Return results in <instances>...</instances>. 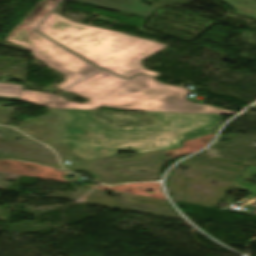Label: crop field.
<instances>
[{"instance_id": "obj_3", "label": "crop field", "mask_w": 256, "mask_h": 256, "mask_svg": "<svg viewBox=\"0 0 256 256\" xmlns=\"http://www.w3.org/2000/svg\"><path fill=\"white\" fill-rule=\"evenodd\" d=\"M234 187L249 190L250 194L256 195V167L249 165Z\"/></svg>"}, {"instance_id": "obj_4", "label": "crop field", "mask_w": 256, "mask_h": 256, "mask_svg": "<svg viewBox=\"0 0 256 256\" xmlns=\"http://www.w3.org/2000/svg\"><path fill=\"white\" fill-rule=\"evenodd\" d=\"M23 85L0 83V96L19 98Z\"/></svg>"}, {"instance_id": "obj_1", "label": "crop field", "mask_w": 256, "mask_h": 256, "mask_svg": "<svg viewBox=\"0 0 256 256\" xmlns=\"http://www.w3.org/2000/svg\"><path fill=\"white\" fill-rule=\"evenodd\" d=\"M58 4L42 0L6 41L31 50L33 56L65 74L66 81L56 87L74 92L90 101L80 104L66 101L65 98L55 94L26 89H23L20 101L32 102L50 109L96 110L101 106H107L150 112L236 113L190 103L185 95L191 91L179 86L162 84L155 81L154 77L138 75L128 81L122 79L92 66L36 32L34 29L48 35L85 59L127 78L139 72L161 76L145 69L141 61L169 47L168 45L69 21L52 11ZM77 81L78 84L67 88Z\"/></svg>"}, {"instance_id": "obj_5", "label": "crop field", "mask_w": 256, "mask_h": 256, "mask_svg": "<svg viewBox=\"0 0 256 256\" xmlns=\"http://www.w3.org/2000/svg\"><path fill=\"white\" fill-rule=\"evenodd\" d=\"M0 99L19 101V99H15V98L0 97Z\"/></svg>"}, {"instance_id": "obj_2", "label": "crop field", "mask_w": 256, "mask_h": 256, "mask_svg": "<svg viewBox=\"0 0 256 256\" xmlns=\"http://www.w3.org/2000/svg\"><path fill=\"white\" fill-rule=\"evenodd\" d=\"M153 125L102 128L90 111L64 110L61 143L87 160L117 155V149L138 154L182 147L183 140L214 133L219 115L152 113Z\"/></svg>"}, {"instance_id": "obj_6", "label": "crop field", "mask_w": 256, "mask_h": 256, "mask_svg": "<svg viewBox=\"0 0 256 256\" xmlns=\"http://www.w3.org/2000/svg\"><path fill=\"white\" fill-rule=\"evenodd\" d=\"M53 1H57V2H60L61 0H53Z\"/></svg>"}]
</instances>
